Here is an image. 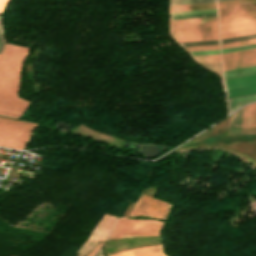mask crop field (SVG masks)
<instances>
[{
    "label": "crop field",
    "mask_w": 256,
    "mask_h": 256,
    "mask_svg": "<svg viewBox=\"0 0 256 256\" xmlns=\"http://www.w3.org/2000/svg\"><path fill=\"white\" fill-rule=\"evenodd\" d=\"M252 15H256V11L240 13V14H234V15H228V16H222V17H219V19H220V21H222V20H228V19L252 16Z\"/></svg>",
    "instance_id": "a9b5d70f"
},
{
    "label": "crop field",
    "mask_w": 256,
    "mask_h": 256,
    "mask_svg": "<svg viewBox=\"0 0 256 256\" xmlns=\"http://www.w3.org/2000/svg\"><path fill=\"white\" fill-rule=\"evenodd\" d=\"M249 133H256V104H252Z\"/></svg>",
    "instance_id": "00972430"
},
{
    "label": "crop field",
    "mask_w": 256,
    "mask_h": 256,
    "mask_svg": "<svg viewBox=\"0 0 256 256\" xmlns=\"http://www.w3.org/2000/svg\"><path fill=\"white\" fill-rule=\"evenodd\" d=\"M224 82H225L226 90L240 88V87H246V86H252V85H256V75L226 79V80H224Z\"/></svg>",
    "instance_id": "5a996713"
},
{
    "label": "crop field",
    "mask_w": 256,
    "mask_h": 256,
    "mask_svg": "<svg viewBox=\"0 0 256 256\" xmlns=\"http://www.w3.org/2000/svg\"><path fill=\"white\" fill-rule=\"evenodd\" d=\"M252 43H256V39L240 41V42H235V43H229V44H223V45H221V47H222V49H224V48L236 47V46L247 45V44H252Z\"/></svg>",
    "instance_id": "730fd06b"
},
{
    "label": "crop field",
    "mask_w": 256,
    "mask_h": 256,
    "mask_svg": "<svg viewBox=\"0 0 256 256\" xmlns=\"http://www.w3.org/2000/svg\"><path fill=\"white\" fill-rule=\"evenodd\" d=\"M186 52L219 49V45L183 48Z\"/></svg>",
    "instance_id": "4177f3b9"
},
{
    "label": "crop field",
    "mask_w": 256,
    "mask_h": 256,
    "mask_svg": "<svg viewBox=\"0 0 256 256\" xmlns=\"http://www.w3.org/2000/svg\"><path fill=\"white\" fill-rule=\"evenodd\" d=\"M254 47H256V44L241 46V47H236V48H230V49H224V50H222V53L236 51V50H242V49H248V48H254Z\"/></svg>",
    "instance_id": "ae1a2a85"
},
{
    "label": "crop field",
    "mask_w": 256,
    "mask_h": 256,
    "mask_svg": "<svg viewBox=\"0 0 256 256\" xmlns=\"http://www.w3.org/2000/svg\"><path fill=\"white\" fill-rule=\"evenodd\" d=\"M255 101H256V94L241 96V97H235V98H229V99H227V106L250 103V102H255ZM240 106H242V105L227 107L228 114L231 113L232 111L236 110Z\"/></svg>",
    "instance_id": "28ad6ade"
},
{
    "label": "crop field",
    "mask_w": 256,
    "mask_h": 256,
    "mask_svg": "<svg viewBox=\"0 0 256 256\" xmlns=\"http://www.w3.org/2000/svg\"><path fill=\"white\" fill-rule=\"evenodd\" d=\"M251 104L244 107L241 133H248Z\"/></svg>",
    "instance_id": "733c2abd"
},
{
    "label": "crop field",
    "mask_w": 256,
    "mask_h": 256,
    "mask_svg": "<svg viewBox=\"0 0 256 256\" xmlns=\"http://www.w3.org/2000/svg\"><path fill=\"white\" fill-rule=\"evenodd\" d=\"M251 10H256V3L221 8V9H219V16L233 14V13H239V12H245V11H251Z\"/></svg>",
    "instance_id": "d1516ede"
},
{
    "label": "crop field",
    "mask_w": 256,
    "mask_h": 256,
    "mask_svg": "<svg viewBox=\"0 0 256 256\" xmlns=\"http://www.w3.org/2000/svg\"><path fill=\"white\" fill-rule=\"evenodd\" d=\"M252 38H256V34L241 36V37H235V38H229V39H223V40H221V44L240 41V40H246V39H252Z\"/></svg>",
    "instance_id": "eef30255"
},
{
    "label": "crop field",
    "mask_w": 256,
    "mask_h": 256,
    "mask_svg": "<svg viewBox=\"0 0 256 256\" xmlns=\"http://www.w3.org/2000/svg\"><path fill=\"white\" fill-rule=\"evenodd\" d=\"M170 204L158 199L141 195L130 216H147L165 220L170 208Z\"/></svg>",
    "instance_id": "f4fd0767"
},
{
    "label": "crop field",
    "mask_w": 256,
    "mask_h": 256,
    "mask_svg": "<svg viewBox=\"0 0 256 256\" xmlns=\"http://www.w3.org/2000/svg\"><path fill=\"white\" fill-rule=\"evenodd\" d=\"M220 1H226V0H218V2H220Z\"/></svg>",
    "instance_id": "e1f06a70"
},
{
    "label": "crop field",
    "mask_w": 256,
    "mask_h": 256,
    "mask_svg": "<svg viewBox=\"0 0 256 256\" xmlns=\"http://www.w3.org/2000/svg\"><path fill=\"white\" fill-rule=\"evenodd\" d=\"M251 2H256V0H232V1L220 2L218 3V6L219 8H221V7L239 5V4H245V3H251Z\"/></svg>",
    "instance_id": "dafd665d"
},
{
    "label": "crop field",
    "mask_w": 256,
    "mask_h": 256,
    "mask_svg": "<svg viewBox=\"0 0 256 256\" xmlns=\"http://www.w3.org/2000/svg\"><path fill=\"white\" fill-rule=\"evenodd\" d=\"M217 16L216 9L170 13V20Z\"/></svg>",
    "instance_id": "d8731c3e"
},
{
    "label": "crop field",
    "mask_w": 256,
    "mask_h": 256,
    "mask_svg": "<svg viewBox=\"0 0 256 256\" xmlns=\"http://www.w3.org/2000/svg\"><path fill=\"white\" fill-rule=\"evenodd\" d=\"M197 63L220 61L219 54L192 57Z\"/></svg>",
    "instance_id": "bc2a9ffb"
},
{
    "label": "crop field",
    "mask_w": 256,
    "mask_h": 256,
    "mask_svg": "<svg viewBox=\"0 0 256 256\" xmlns=\"http://www.w3.org/2000/svg\"><path fill=\"white\" fill-rule=\"evenodd\" d=\"M3 43H4L3 34L0 33V53H1V50H2V47H3Z\"/></svg>",
    "instance_id": "1d83c4d3"
},
{
    "label": "crop field",
    "mask_w": 256,
    "mask_h": 256,
    "mask_svg": "<svg viewBox=\"0 0 256 256\" xmlns=\"http://www.w3.org/2000/svg\"><path fill=\"white\" fill-rule=\"evenodd\" d=\"M253 55H256V48L242 50V51H236V52H230V53H224V54H222V61L241 58V57H247V56H253Z\"/></svg>",
    "instance_id": "cbeb9de0"
},
{
    "label": "crop field",
    "mask_w": 256,
    "mask_h": 256,
    "mask_svg": "<svg viewBox=\"0 0 256 256\" xmlns=\"http://www.w3.org/2000/svg\"><path fill=\"white\" fill-rule=\"evenodd\" d=\"M9 2V0H0V12L3 11L6 4Z\"/></svg>",
    "instance_id": "bd1437ed"
},
{
    "label": "crop field",
    "mask_w": 256,
    "mask_h": 256,
    "mask_svg": "<svg viewBox=\"0 0 256 256\" xmlns=\"http://www.w3.org/2000/svg\"><path fill=\"white\" fill-rule=\"evenodd\" d=\"M0 32H2V28H1V22H0Z\"/></svg>",
    "instance_id": "028f5c9d"
},
{
    "label": "crop field",
    "mask_w": 256,
    "mask_h": 256,
    "mask_svg": "<svg viewBox=\"0 0 256 256\" xmlns=\"http://www.w3.org/2000/svg\"><path fill=\"white\" fill-rule=\"evenodd\" d=\"M95 256H104V255L102 254V249H101V248H100L99 252H98Z\"/></svg>",
    "instance_id": "5866460e"
},
{
    "label": "crop field",
    "mask_w": 256,
    "mask_h": 256,
    "mask_svg": "<svg viewBox=\"0 0 256 256\" xmlns=\"http://www.w3.org/2000/svg\"><path fill=\"white\" fill-rule=\"evenodd\" d=\"M212 39H218V38H211V39H197V40H183V41H177V42H184V41H198V40H212Z\"/></svg>",
    "instance_id": "120bbe31"
},
{
    "label": "crop field",
    "mask_w": 256,
    "mask_h": 256,
    "mask_svg": "<svg viewBox=\"0 0 256 256\" xmlns=\"http://www.w3.org/2000/svg\"><path fill=\"white\" fill-rule=\"evenodd\" d=\"M253 33H256V32H251V33H246V34H240V35H235V36H241V35H247V34H253ZM235 36H229V37H235ZM229 37H223V38H229ZM221 38V39H223Z\"/></svg>",
    "instance_id": "d32e631a"
},
{
    "label": "crop field",
    "mask_w": 256,
    "mask_h": 256,
    "mask_svg": "<svg viewBox=\"0 0 256 256\" xmlns=\"http://www.w3.org/2000/svg\"><path fill=\"white\" fill-rule=\"evenodd\" d=\"M223 74H224V79L238 77V76H244V75H250V74H256V66L237 69V70H231V71H225V72H223Z\"/></svg>",
    "instance_id": "5142ce71"
},
{
    "label": "crop field",
    "mask_w": 256,
    "mask_h": 256,
    "mask_svg": "<svg viewBox=\"0 0 256 256\" xmlns=\"http://www.w3.org/2000/svg\"><path fill=\"white\" fill-rule=\"evenodd\" d=\"M101 245H102V242H99L97 246L87 256H93Z\"/></svg>",
    "instance_id": "750c4746"
},
{
    "label": "crop field",
    "mask_w": 256,
    "mask_h": 256,
    "mask_svg": "<svg viewBox=\"0 0 256 256\" xmlns=\"http://www.w3.org/2000/svg\"><path fill=\"white\" fill-rule=\"evenodd\" d=\"M179 44L181 47H188V46H200V45H213V44H219V42L218 40H212V41L184 42Z\"/></svg>",
    "instance_id": "214f88e0"
},
{
    "label": "crop field",
    "mask_w": 256,
    "mask_h": 256,
    "mask_svg": "<svg viewBox=\"0 0 256 256\" xmlns=\"http://www.w3.org/2000/svg\"><path fill=\"white\" fill-rule=\"evenodd\" d=\"M163 222L158 220H134L120 217L117 219L109 238L157 236Z\"/></svg>",
    "instance_id": "34b2d1b8"
},
{
    "label": "crop field",
    "mask_w": 256,
    "mask_h": 256,
    "mask_svg": "<svg viewBox=\"0 0 256 256\" xmlns=\"http://www.w3.org/2000/svg\"><path fill=\"white\" fill-rule=\"evenodd\" d=\"M35 126V123L0 117V146L22 149Z\"/></svg>",
    "instance_id": "ac0d7876"
},
{
    "label": "crop field",
    "mask_w": 256,
    "mask_h": 256,
    "mask_svg": "<svg viewBox=\"0 0 256 256\" xmlns=\"http://www.w3.org/2000/svg\"><path fill=\"white\" fill-rule=\"evenodd\" d=\"M28 48L6 44L0 58V115L19 119L29 101L18 98L23 61Z\"/></svg>",
    "instance_id": "8a807250"
},
{
    "label": "crop field",
    "mask_w": 256,
    "mask_h": 256,
    "mask_svg": "<svg viewBox=\"0 0 256 256\" xmlns=\"http://www.w3.org/2000/svg\"><path fill=\"white\" fill-rule=\"evenodd\" d=\"M209 2H216V0H170V5L193 4V3H209Z\"/></svg>",
    "instance_id": "92a150f3"
},
{
    "label": "crop field",
    "mask_w": 256,
    "mask_h": 256,
    "mask_svg": "<svg viewBox=\"0 0 256 256\" xmlns=\"http://www.w3.org/2000/svg\"><path fill=\"white\" fill-rule=\"evenodd\" d=\"M256 65V56L222 62L223 71Z\"/></svg>",
    "instance_id": "3316defc"
},
{
    "label": "crop field",
    "mask_w": 256,
    "mask_h": 256,
    "mask_svg": "<svg viewBox=\"0 0 256 256\" xmlns=\"http://www.w3.org/2000/svg\"><path fill=\"white\" fill-rule=\"evenodd\" d=\"M251 31H256V16L220 22L221 37Z\"/></svg>",
    "instance_id": "dd49c442"
},
{
    "label": "crop field",
    "mask_w": 256,
    "mask_h": 256,
    "mask_svg": "<svg viewBox=\"0 0 256 256\" xmlns=\"http://www.w3.org/2000/svg\"><path fill=\"white\" fill-rule=\"evenodd\" d=\"M219 53V50H214V51H203V52H192L188 53L190 56H195V55H205V54H215Z\"/></svg>",
    "instance_id": "d3111659"
},
{
    "label": "crop field",
    "mask_w": 256,
    "mask_h": 256,
    "mask_svg": "<svg viewBox=\"0 0 256 256\" xmlns=\"http://www.w3.org/2000/svg\"><path fill=\"white\" fill-rule=\"evenodd\" d=\"M217 21V17L170 21V25Z\"/></svg>",
    "instance_id": "4a817a6b"
},
{
    "label": "crop field",
    "mask_w": 256,
    "mask_h": 256,
    "mask_svg": "<svg viewBox=\"0 0 256 256\" xmlns=\"http://www.w3.org/2000/svg\"><path fill=\"white\" fill-rule=\"evenodd\" d=\"M0 15H1V13H0Z\"/></svg>",
    "instance_id": "0bd39190"
},
{
    "label": "crop field",
    "mask_w": 256,
    "mask_h": 256,
    "mask_svg": "<svg viewBox=\"0 0 256 256\" xmlns=\"http://www.w3.org/2000/svg\"><path fill=\"white\" fill-rule=\"evenodd\" d=\"M253 93H256V86L226 91L227 98L241 96V95H247V94H253Z\"/></svg>",
    "instance_id": "d9b57169"
},
{
    "label": "crop field",
    "mask_w": 256,
    "mask_h": 256,
    "mask_svg": "<svg viewBox=\"0 0 256 256\" xmlns=\"http://www.w3.org/2000/svg\"><path fill=\"white\" fill-rule=\"evenodd\" d=\"M109 256H165L162 252V245L131 250Z\"/></svg>",
    "instance_id": "e52e79f7"
},
{
    "label": "crop field",
    "mask_w": 256,
    "mask_h": 256,
    "mask_svg": "<svg viewBox=\"0 0 256 256\" xmlns=\"http://www.w3.org/2000/svg\"><path fill=\"white\" fill-rule=\"evenodd\" d=\"M175 40L218 37L217 22L170 26Z\"/></svg>",
    "instance_id": "412701ff"
},
{
    "label": "crop field",
    "mask_w": 256,
    "mask_h": 256,
    "mask_svg": "<svg viewBox=\"0 0 256 256\" xmlns=\"http://www.w3.org/2000/svg\"><path fill=\"white\" fill-rule=\"evenodd\" d=\"M211 8H216V3L170 6V12Z\"/></svg>",
    "instance_id": "22f410ed"
}]
</instances>
